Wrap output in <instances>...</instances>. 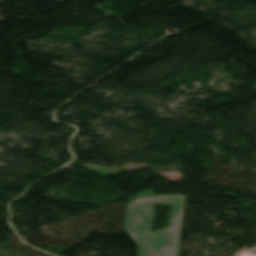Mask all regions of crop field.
<instances>
[{"label":"crop field","instance_id":"1","mask_svg":"<svg viewBox=\"0 0 256 256\" xmlns=\"http://www.w3.org/2000/svg\"><path fill=\"white\" fill-rule=\"evenodd\" d=\"M185 196L161 195L136 198L128 204L127 231L139 246L138 256H177ZM153 204L173 205L171 227L150 233Z\"/></svg>","mask_w":256,"mask_h":256}]
</instances>
